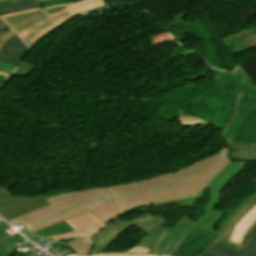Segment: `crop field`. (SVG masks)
<instances>
[{"label": "crop field", "mask_w": 256, "mask_h": 256, "mask_svg": "<svg viewBox=\"0 0 256 256\" xmlns=\"http://www.w3.org/2000/svg\"><path fill=\"white\" fill-rule=\"evenodd\" d=\"M230 162V148L207 157L183 170L148 180L99 189L72 192L46 200L51 204L18 217L11 224L31 234L89 210L101 221L143 206L196 197Z\"/></svg>", "instance_id": "1"}, {"label": "crop field", "mask_w": 256, "mask_h": 256, "mask_svg": "<svg viewBox=\"0 0 256 256\" xmlns=\"http://www.w3.org/2000/svg\"><path fill=\"white\" fill-rule=\"evenodd\" d=\"M213 71L222 87L192 104L219 114L210 124L223 129L232 159L256 162V86L240 66L233 72Z\"/></svg>", "instance_id": "2"}, {"label": "crop field", "mask_w": 256, "mask_h": 256, "mask_svg": "<svg viewBox=\"0 0 256 256\" xmlns=\"http://www.w3.org/2000/svg\"><path fill=\"white\" fill-rule=\"evenodd\" d=\"M256 205V198L243 208L228 224L223 234L212 242L199 256H256V227L243 247L228 241L232 228Z\"/></svg>", "instance_id": "3"}, {"label": "crop field", "mask_w": 256, "mask_h": 256, "mask_svg": "<svg viewBox=\"0 0 256 256\" xmlns=\"http://www.w3.org/2000/svg\"><path fill=\"white\" fill-rule=\"evenodd\" d=\"M103 5H105L103 0H84L79 3H70L45 8L44 10L51 18L36 26H33L27 30L18 33V35L30 47V45L37 38L42 36L44 33L49 31L65 19L69 18L70 16Z\"/></svg>", "instance_id": "4"}, {"label": "crop field", "mask_w": 256, "mask_h": 256, "mask_svg": "<svg viewBox=\"0 0 256 256\" xmlns=\"http://www.w3.org/2000/svg\"><path fill=\"white\" fill-rule=\"evenodd\" d=\"M164 222H166V220L163 216L153 217L149 213L130 221H121L117 218L107 224L96 236L90 238L96 241V244L90 254L100 253L114 238L131 226H137L143 229L146 233H149Z\"/></svg>", "instance_id": "5"}, {"label": "crop field", "mask_w": 256, "mask_h": 256, "mask_svg": "<svg viewBox=\"0 0 256 256\" xmlns=\"http://www.w3.org/2000/svg\"><path fill=\"white\" fill-rule=\"evenodd\" d=\"M194 223L195 222L187 218H183L173 229H164L161 227L155 229L150 235L154 236L156 239L148 253L173 256Z\"/></svg>", "instance_id": "6"}, {"label": "crop field", "mask_w": 256, "mask_h": 256, "mask_svg": "<svg viewBox=\"0 0 256 256\" xmlns=\"http://www.w3.org/2000/svg\"><path fill=\"white\" fill-rule=\"evenodd\" d=\"M49 205L42 197H15L8 190L0 186V216L8 221L30 211Z\"/></svg>", "instance_id": "7"}, {"label": "crop field", "mask_w": 256, "mask_h": 256, "mask_svg": "<svg viewBox=\"0 0 256 256\" xmlns=\"http://www.w3.org/2000/svg\"><path fill=\"white\" fill-rule=\"evenodd\" d=\"M66 222L75 230L73 232L60 234L57 236L46 237L51 240H67L74 238H90L96 235L99 231L103 229L106 225L97 219L93 214L89 211L72 217Z\"/></svg>", "instance_id": "8"}, {"label": "crop field", "mask_w": 256, "mask_h": 256, "mask_svg": "<svg viewBox=\"0 0 256 256\" xmlns=\"http://www.w3.org/2000/svg\"><path fill=\"white\" fill-rule=\"evenodd\" d=\"M217 238V236L193 226L174 256H197L211 241Z\"/></svg>", "instance_id": "9"}, {"label": "crop field", "mask_w": 256, "mask_h": 256, "mask_svg": "<svg viewBox=\"0 0 256 256\" xmlns=\"http://www.w3.org/2000/svg\"><path fill=\"white\" fill-rule=\"evenodd\" d=\"M1 18L4 19L16 33H18L49 18V16L42 8H39L36 10L2 16Z\"/></svg>", "instance_id": "10"}, {"label": "crop field", "mask_w": 256, "mask_h": 256, "mask_svg": "<svg viewBox=\"0 0 256 256\" xmlns=\"http://www.w3.org/2000/svg\"><path fill=\"white\" fill-rule=\"evenodd\" d=\"M28 50L29 48L15 34L1 45L0 61L17 66Z\"/></svg>", "instance_id": "11"}, {"label": "crop field", "mask_w": 256, "mask_h": 256, "mask_svg": "<svg viewBox=\"0 0 256 256\" xmlns=\"http://www.w3.org/2000/svg\"><path fill=\"white\" fill-rule=\"evenodd\" d=\"M41 7L36 0H9L0 3V16Z\"/></svg>", "instance_id": "12"}, {"label": "crop field", "mask_w": 256, "mask_h": 256, "mask_svg": "<svg viewBox=\"0 0 256 256\" xmlns=\"http://www.w3.org/2000/svg\"><path fill=\"white\" fill-rule=\"evenodd\" d=\"M255 220H256V206L246 217H244L241 220V222L236 227H234L229 240L235 243H239L244 232Z\"/></svg>", "instance_id": "13"}, {"label": "crop field", "mask_w": 256, "mask_h": 256, "mask_svg": "<svg viewBox=\"0 0 256 256\" xmlns=\"http://www.w3.org/2000/svg\"><path fill=\"white\" fill-rule=\"evenodd\" d=\"M60 242L70 246L74 251L81 255L89 254L95 243L94 241H91L89 239H75Z\"/></svg>", "instance_id": "14"}, {"label": "crop field", "mask_w": 256, "mask_h": 256, "mask_svg": "<svg viewBox=\"0 0 256 256\" xmlns=\"http://www.w3.org/2000/svg\"><path fill=\"white\" fill-rule=\"evenodd\" d=\"M25 240L19 234L0 243V256H11L16 253V249L13 247L17 243Z\"/></svg>", "instance_id": "15"}, {"label": "crop field", "mask_w": 256, "mask_h": 256, "mask_svg": "<svg viewBox=\"0 0 256 256\" xmlns=\"http://www.w3.org/2000/svg\"><path fill=\"white\" fill-rule=\"evenodd\" d=\"M72 230L73 229L65 221H63L33 234L45 237V236L56 235V234H60V233L68 232Z\"/></svg>", "instance_id": "16"}, {"label": "crop field", "mask_w": 256, "mask_h": 256, "mask_svg": "<svg viewBox=\"0 0 256 256\" xmlns=\"http://www.w3.org/2000/svg\"><path fill=\"white\" fill-rule=\"evenodd\" d=\"M256 197V193L251 196L246 202H244L239 208H237L233 214L228 218V220L225 222L223 228L219 231L218 236L221 235V233L223 232L224 228L226 227V225L233 219V217L244 207L246 206L250 201H252L254 198Z\"/></svg>", "instance_id": "17"}, {"label": "crop field", "mask_w": 256, "mask_h": 256, "mask_svg": "<svg viewBox=\"0 0 256 256\" xmlns=\"http://www.w3.org/2000/svg\"><path fill=\"white\" fill-rule=\"evenodd\" d=\"M7 228H9V226L5 222L0 221V242L5 240V239H7V238H9V237H11V236H13V235H15V234H13L11 236L9 234L5 235L4 233L6 232L5 230Z\"/></svg>", "instance_id": "18"}, {"label": "crop field", "mask_w": 256, "mask_h": 256, "mask_svg": "<svg viewBox=\"0 0 256 256\" xmlns=\"http://www.w3.org/2000/svg\"><path fill=\"white\" fill-rule=\"evenodd\" d=\"M103 7H105V6H103ZM99 8H101V7H99ZM97 9V8H96ZM92 10H94V9H92ZM92 10H89V11H92ZM85 12H88V11H85ZM83 13V12H82ZM80 14V13H79ZM78 15V14H77ZM77 15H75V16H77ZM75 16H73V17H75ZM73 17H71V18H73ZM71 18H69V19H67V20H65L64 22H62L61 24H59L58 26H56L55 28H53L52 30H50L49 32H47L46 34H44L42 37H40L38 40H36L33 44H32V46L30 47L31 49L33 48V46L36 44V43H38L41 39H43L46 35H48L50 32H52V31H54V30H56L58 27H60L63 23H65L66 21H68V20H70Z\"/></svg>", "instance_id": "19"}, {"label": "crop field", "mask_w": 256, "mask_h": 256, "mask_svg": "<svg viewBox=\"0 0 256 256\" xmlns=\"http://www.w3.org/2000/svg\"><path fill=\"white\" fill-rule=\"evenodd\" d=\"M15 66L9 65V64H5V63H1L0 62V71L1 72H6V73H10L15 69Z\"/></svg>", "instance_id": "20"}, {"label": "crop field", "mask_w": 256, "mask_h": 256, "mask_svg": "<svg viewBox=\"0 0 256 256\" xmlns=\"http://www.w3.org/2000/svg\"><path fill=\"white\" fill-rule=\"evenodd\" d=\"M184 201H185V200H184ZM184 201H175V202H171V203H178V205H181ZM167 204H168V203H167ZM160 205H164V204L151 205V206H148V207H155V206H160ZM148 207H144V208H148ZM144 208H140V209H144ZM136 210H139V209H136ZM133 211H135V210H132V211H129V212L123 213V214H121V215L115 216V217H113V218L109 219L108 221H106L105 223L107 224V223H109L111 220H113L114 218H116V217H120V216H122V215H125V214L130 213V212H133Z\"/></svg>", "instance_id": "21"}, {"label": "crop field", "mask_w": 256, "mask_h": 256, "mask_svg": "<svg viewBox=\"0 0 256 256\" xmlns=\"http://www.w3.org/2000/svg\"><path fill=\"white\" fill-rule=\"evenodd\" d=\"M256 226V221L249 227V229L245 232L241 242H240V245H243V243H245L249 233L253 230V228Z\"/></svg>", "instance_id": "22"}, {"label": "crop field", "mask_w": 256, "mask_h": 256, "mask_svg": "<svg viewBox=\"0 0 256 256\" xmlns=\"http://www.w3.org/2000/svg\"><path fill=\"white\" fill-rule=\"evenodd\" d=\"M148 249L136 246L126 252H131V253H147Z\"/></svg>", "instance_id": "23"}, {"label": "crop field", "mask_w": 256, "mask_h": 256, "mask_svg": "<svg viewBox=\"0 0 256 256\" xmlns=\"http://www.w3.org/2000/svg\"><path fill=\"white\" fill-rule=\"evenodd\" d=\"M66 256H77V255L74 254V255H66ZM91 256H130V254H104V255H91ZM132 256H148V255H135V254H132Z\"/></svg>", "instance_id": "24"}, {"label": "crop field", "mask_w": 256, "mask_h": 256, "mask_svg": "<svg viewBox=\"0 0 256 256\" xmlns=\"http://www.w3.org/2000/svg\"><path fill=\"white\" fill-rule=\"evenodd\" d=\"M15 32L12 30V29H10V30H8L6 33H4V34H2L1 36H0V45H1V43L4 41V40H6L8 37H10L12 34H14Z\"/></svg>", "instance_id": "25"}, {"label": "crop field", "mask_w": 256, "mask_h": 256, "mask_svg": "<svg viewBox=\"0 0 256 256\" xmlns=\"http://www.w3.org/2000/svg\"><path fill=\"white\" fill-rule=\"evenodd\" d=\"M8 29L10 27L0 18V35Z\"/></svg>", "instance_id": "26"}, {"label": "crop field", "mask_w": 256, "mask_h": 256, "mask_svg": "<svg viewBox=\"0 0 256 256\" xmlns=\"http://www.w3.org/2000/svg\"><path fill=\"white\" fill-rule=\"evenodd\" d=\"M29 72H31V71H30V70H26V69H22V68L18 67L14 74H18V75H21V76H25V75L28 74Z\"/></svg>", "instance_id": "27"}, {"label": "crop field", "mask_w": 256, "mask_h": 256, "mask_svg": "<svg viewBox=\"0 0 256 256\" xmlns=\"http://www.w3.org/2000/svg\"><path fill=\"white\" fill-rule=\"evenodd\" d=\"M1 1H4V0H0ZM39 3H43V2H49V1H56V0H37Z\"/></svg>", "instance_id": "28"}, {"label": "crop field", "mask_w": 256, "mask_h": 256, "mask_svg": "<svg viewBox=\"0 0 256 256\" xmlns=\"http://www.w3.org/2000/svg\"><path fill=\"white\" fill-rule=\"evenodd\" d=\"M5 78H6L5 76H1V75H0V81L3 80V79H5Z\"/></svg>", "instance_id": "29"}, {"label": "crop field", "mask_w": 256, "mask_h": 256, "mask_svg": "<svg viewBox=\"0 0 256 256\" xmlns=\"http://www.w3.org/2000/svg\"><path fill=\"white\" fill-rule=\"evenodd\" d=\"M0 74H1V75H5V76H8V74H6V73H1V72H0ZM9 75H10V74H9Z\"/></svg>", "instance_id": "30"}]
</instances>
